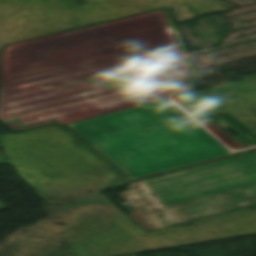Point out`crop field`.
<instances>
[{"label": "crop field", "mask_w": 256, "mask_h": 256, "mask_svg": "<svg viewBox=\"0 0 256 256\" xmlns=\"http://www.w3.org/2000/svg\"><path fill=\"white\" fill-rule=\"evenodd\" d=\"M147 231L256 203V151L131 184L118 194Z\"/></svg>", "instance_id": "8a807250"}, {"label": "crop field", "mask_w": 256, "mask_h": 256, "mask_svg": "<svg viewBox=\"0 0 256 256\" xmlns=\"http://www.w3.org/2000/svg\"><path fill=\"white\" fill-rule=\"evenodd\" d=\"M163 108L158 101L69 126L133 179L231 155L199 125L168 140L183 155L138 117Z\"/></svg>", "instance_id": "ac0d7876"}, {"label": "crop field", "mask_w": 256, "mask_h": 256, "mask_svg": "<svg viewBox=\"0 0 256 256\" xmlns=\"http://www.w3.org/2000/svg\"><path fill=\"white\" fill-rule=\"evenodd\" d=\"M161 101L169 108L140 115V117L166 139L198 132L191 126L196 123L189 119L179 108L173 107L167 102V99Z\"/></svg>", "instance_id": "34b2d1b8"}]
</instances>
